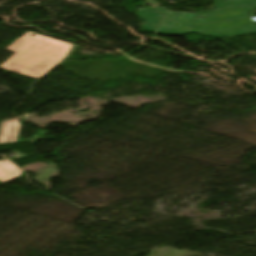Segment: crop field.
Returning <instances> with one entry per match:
<instances>
[{
    "label": "crop field",
    "mask_w": 256,
    "mask_h": 256,
    "mask_svg": "<svg viewBox=\"0 0 256 256\" xmlns=\"http://www.w3.org/2000/svg\"><path fill=\"white\" fill-rule=\"evenodd\" d=\"M29 32L7 48L15 53L0 68L40 80L67 57L73 44L37 34L32 37Z\"/></svg>",
    "instance_id": "8a807250"
},
{
    "label": "crop field",
    "mask_w": 256,
    "mask_h": 256,
    "mask_svg": "<svg viewBox=\"0 0 256 256\" xmlns=\"http://www.w3.org/2000/svg\"><path fill=\"white\" fill-rule=\"evenodd\" d=\"M22 171L12 165L8 160H0V180L5 183L21 176Z\"/></svg>",
    "instance_id": "34b2d1b8"
},
{
    "label": "crop field",
    "mask_w": 256,
    "mask_h": 256,
    "mask_svg": "<svg viewBox=\"0 0 256 256\" xmlns=\"http://www.w3.org/2000/svg\"><path fill=\"white\" fill-rule=\"evenodd\" d=\"M147 1H149V2H151L152 4L158 6L153 0H147Z\"/></svg>",
    "instance_id": "412701ff"
},
{
    "label": "crop field",
    "mask_w": 256,
    "mask_h": 256,
    "mask_svg": "<svg viewBox=\"0 0 256 256\" xmlns=\"http://www.w3.org/2000/svg\"><path fill=\"white\" fill-rule=\"evenodd\" d=\"M21 125L16 119L5 121L0 128V144L18 140Z\"/></svg>",
    "instance_id": "ac0d7876"
}]
</instances>
